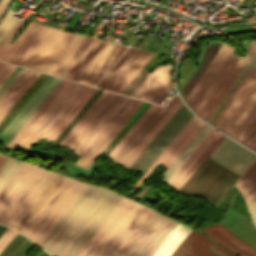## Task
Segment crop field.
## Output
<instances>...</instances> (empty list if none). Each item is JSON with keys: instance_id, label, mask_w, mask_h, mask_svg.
Returning <instances> with one entry per match:
<instances>
[{"instance_id": "obj_18", "label": "crop field", "mask_w": 256, "mask_h": 256, "mask_svg": "<svg viewBox=\"0 0 256 256\" xmlns=\"http://www.w3.org/2000/svg\"><path fill=\"white\" fill-rule=\"evenodd\" d=\"M171 256H236V255L230 252L229 250H227L226 248H224L223 246L208 239L202 233H196L191 230L190 233L181 242V244L177 247V249L173 252Z\"/></svg>"}, {"instance_id": "obj_1", "label": "crop field", "mask_w": 256, "mask_h": 256, "mask_svg": "<svg viewBox=\"0 0 256 256\" xmlns=\"http://www.w3.org/2000/svg\"><path fill=\"white\" fill-rule=\"evenodd\" d=\"M120 198L88 185L40 246L53 256H75Z\"/></svg>"}, {"instance_id": "obj_15", "label": "crop field", "mask_w": 256, "mask_h": 256, "mask_svg": "<svg viewBox=\"0 0 256 256\" xmlns=\"http://www.w3.org/2000/svg\"><path fill=\"white\" fill-rule=\"evenodd\" d=\"M204 124V122L193 115L134 186L138 187L158 163L165 165L164 168L167 169Z\"/></svg>"}, {"instance_id": "obj_46", "label": "crop field", "mask_w": 256, "mask_h": 256, "mask_svg": "<svg viewBox=\"0 0 256 256\" xmlns=\"http://www.w3.org/2000/svg\"><path fill=\"white\" fill-rule=\"evenodd\" d=\"M150 105V103H148L145 108L139 113V115L136 117V119L129 125V127L124 131L125 127L122 128V130L117 134V136L112 140V142L107 146V148L104 150V152L106 153L107 150L110 148V146L113 144V142L118 138V136L120 135V137L114 142V144L111 146V148L108 150V152L106 153L107 155L109 154V152L114 148V146L120 141V139L126 134V132L131 128V126L137 121V119L143 114V112L148 108V106Z\"/></svg>"}, {"instance_id": "obj_35", "label": "crop field", "mask_w": 256, "mask_h": 256, "mask_svg": "<svg viewBox=\"0 0 256 256\" xmlns=\"http://www.w3.org/2000/svg\"><path fill=\"white\" fill-rule=\"evenodd\" d=\"M224 135L218 134L217 137L211 142V144L205 149V151L199 156V158L193 163V165L187 170V172L181 177V179L172 188L176 191L186 182V180L192 175V173L198 168V166L204 161V159L210 154L218 142Z\"/></svg>"}, {"instance_id": "obj_33", "label": "crop field", "mask_w": 256, "mask_h": 256, "mask_svg": "<svg viewBox=\"0 0 256 256\" xmlns=\"http://www.w3.org/2000/svg\"><path fill=\"white\" fill-rule=\"evenodd\" d=\"M82 86L83 84L77 83V85L71 90V92L66 96V98L60 103V105L55 109V111L50 115V117L45 121V123L40 127V129L35 133V135L30 139V141L25 145L23 150L27 151V149L44 133V131L60 114V112L65 108V106L71 101V99L76 95V93L81 89Z\"/></svg>"}, {"instance_id": "obj_47", "label": "crop field", "mask_w": 256, "mask_h": 256, "mask_svg": "<svg viewBox=\"0 0 256 256\" xmlns=\"http://www.w3.org/2000/svg\"><path fill=\"white\" fill-rule=\"evenodd\" d=\"M98 90H99V89H98ZM98 90H97V91H98ZM97 91H96V92H97ZM100 91H101V90H100ZM100 91H98V93H99ZM101 92H102V91H101ZM101 92H100V93H101ZM98 93H97V94H98ZM100 93L98 94V96L100 95ZM95 94H96V93H95ZM95 94H94V95H95ZM97 94L95 95V97L97 96ZM94 95H93V96H94ZM93 96L90 98V100L93 98ZM98 96H97V97H98ZM95 97H94V98H95ZM97 97H96V98H97ZM94 98H93V99H94ZM96 98H95V99H96ZM93 99H92V100H93ZM95 99L92 101V103L95 101ZM90 100L85 104V106L90 102ZM90 103H91V102H90ZM90 103H89V104H90ZM92 103H91V104H92ZM89 104H88V105H89ZM91 104H90V105H91ZM88 105H87V106H88ZM90 105L86 108V110L90 107ZM85 106L79 111V113L85 108ZM84 110H85V109H84ZM84 110H83V111H84ZM86 110H85V111H86ZM83 111H82V112H83ZM85 111H84L83 113L81 112L82 114L80 113V114H81L80 117L85 113ZM79 113H78V114H79ZM78 114L73 118V120L78 116ZM78 117H79V116H78ZM78 117H77V118H78ZM80 117H79L78 119L76 118V119H77V120L75 119L76 121L74 120L75 123L80 119ZM73 120H72V121H73ZM72 121H71V122H72ZM74 121H73V122H74ZM71 122L67 125V127L71 124ZM75 123H74V124L72 123L73 125L71 124V125H72V126L70 125L71 127L69 126L70 129L75 125ZM67 127H66V128H67ZM69 127H68V128H69ZM66 128H65V129H66ZM68 128L66 129V131L68 130ZM65 129H64V130H65ZM70 129H69L67 132L65 131L66 133H65L64 130H63L62 133L64 132L65 135H66V134L70 131ZM62 133H61V134H62ZM64 133H63V134H64ZM61 134H60V135H61ZM63 134H62L61 136L59 135L60 137L58 136L59 139L63 136ZM65 135L60 139V141L65 137ZM58 137H57V138H58ZM57 138H56V140H57ZM59 139H58V140H59ZM56 140H55V141H56ZM58 140L56 141V143L58 142ZM55 141H54V142H55ZM60 141L58 142V144L60 143Z\"/></svg>"}, {"instance_id": "obj_6", "label": "crop field", "mask_w": 256, "mask_h": 256, "mask_svg": "<svg viewBox=\"0 0 256 256\" xmlns=\"http://www.w3.org/2000/svg\"><path fill=\"white\" fill-rule=\"evenodd\" d=\"M50 171L22 163L0 191V223L9 225Z\"/></svg>"}, {"instance_id": "obj_25", "label": "crop field", "mask_w": 256, "mask_h": 256, "mask_svg": "<svg viewBox=\"0 0 256 256\" xmlns=\"http://www.w3.org/2000/svg\"><path fill=\"white\" fill-rule=\"evenodd\" d=\"M25 18L19 21V23L14 27V29L9 33V35L0 44V60L7 61L9 57L16 51V49L22 44V42L29 36V34L35 29L38 23L33 21L26 27V29L18 36V38L12 43H8L11 38L15 35L18 29L21 27Z\"/></svg>"}, {"instance_id": "obj_22", "label": "crop field", "mask_w": 256, "mask_h": 256, "mask_svg": "<svg viewBox=\"0 0 256 256\" xmlns=\"http://www.w3.org/2000/svg\"><path fill=\"white\" fill-rule=\"evenodd\" d=\"M22 73V72H21ZM40 73L25 69L11 87L0 98V120L17 102Z\"/></svg>"}, {"instance_id": "obj_7", "label": "crop field", "mask_w": 256, "mask_h": 256, "mask_svg": "<svg viewBox=\"0 0 256 256\" xmlns=\"http://www.w3.org/2000/svg\"><path fill=\"white\" fill-rule=\"evenodd\" d=\"M84 36L54 29L24 67L54 74Z\"/></svg>"}, {"instance_id": "obj_56", "label": "crop field", "mask_w": 256, "mask_h": 256, "mask_svg": "<svg viewBox=\"0 0 256 256\" xmlns=\"http://www.w3.org/2000/svg\"><path fill=\"white\" fill-rule=\"evenodd\" d=\"M144 192L142 191L140 194H138L136 197L138 198L141 194H143Z\"/></svg>"}, {"instance_id": "obj_31", "label": "crop field", "mask_w": 256, "mask_h": 256, "mask_svg": "<svg viewBox=\"0 0 256 256\" xmlns=\"http://www.w3.org/2000/svg\"><path fill=\"white\" fill-rule=\"evenodd\" d=\"M63 178L64 176H61L59 174L56 175V177L52 180V182L48 185V187L44 190V192L40 195V197L36 200V202L32 205V207L28 210V212L24 215L20 222L16 225L15 229H17L19 232L21 231V229L26 225V223L40 208V206L49 197V195L58 186V184L63 180Z\"/></svg>"}, {"instance_id": "obj_29", "label": "crop field", "mask_w": 256, "mask_h": 256, "mask_svg": "<svg viewBox=\"0 0 256 256\" xmlns=\"http://www.w3.org/2000/svg\"><path fill=\"white\" fill-rule=\"evenodd\" d=\"M235 186L242 194L246 204H248L256 194V160L237 181Z\"/></svg>"}, {"instance_id": "obj_41", "label": "crop field", "mask_w": 256, "mask_h": 256, "mask_svg": "<svg viewBox=\"0 0 256 256\" xmlns=\"http://www.w3.org/2000/svg\"><path fill=\"white\" fill-rule=\"evenodd\" d=\"M239 142L256 151V116Z\"/></svg>"}, {"instance_id": "obj_3", "label": "crop field", "mask_w": 256, "mask_h": 256, "mask_svg": "<svg viewBox=\"0 0 256 256\" xmlns=\"http://www.w3.org/2000/svg\"><path fill=\"white\" fill-rule=\"evenodd\" d=\"M154 214L122 197L76 256H121Z\"/></svg>"}, {"instance_id": "obj_5", "label": "crop field", "mask_w": 256, "mask_h": 256, "mask_svg": "<svg viewBox=\"0 0 256 256\" xmlns=\"http://www.w3.org/2000/svg\"><path fill=\"white\" fill-rule=\"evenodd\" d=\"M86 186L65 177L20 233L39 245Z\"/></svg>"}, {"instance_id": "obj_12", "label": "crop field", "mask_w": 256, "mask_h": 256, "mask_svg": "<svg viewBox=\"0 0 256 256\" xmlns=\"http://www.w3.org/2000/svg\"><path fill=\"white\" fill-rule=\"evenodd\" d=\"M107 44L108 42L85 37L55 75L77 81Z\"/></svg>"}, {"instance_id": "obj_43", "label": "crop field", "mask_w": 256, "mask_h": 256, "mask_svg": "<svg viewBox=\"0 0 256 256\" xmlns=\"http://www.w3.org/2000/svg\"><path fill=\"white\" fill-rule=\"evenodd\" d=\"M13 15L14 13L9 11L0 24V42L19 21V19L12 17Z\"/></svg>"}, {"instance_id": "obj_16", "label": "crop field", "mask_w": 256, "mask_h": 256, "mask_svg": "<svg viewBox=\"0 0 256 256\" xmlns=\"http://www.w3.org/2000/svg\"><path fill=\"white\" fill-rule=\"evenodd\" d=\"M61 78L49 75L37 91L31 96L21 110L15 115L5 129L0 133V144L6 145L19 128L31 116L36 108L48 96Z\"/></svg>"}, {"instance_id": "obj_2", "label": "crop field", "mask_w": 256, "mask_h": 256, "mask_svg": "<svg viewBox=\"0 0 256 256\" xmlns=\"http://www.w3.org/2000/svg\"><path fill=\"white\" fill-rule=\"evenodd\" d=\"M142 103L112 93L68 146L81 156L76 165L88 169Z\"/></svg>"}, {"instance_id": "obj_51", "label": "crop field", "mask_w": 256, "mask_h": 256, "mask_svg": "<svg viewBox=\"0 0 256 256\" xmlns=\"http://www.w3.org/2000/svg\"><path fill=\"white\" fill-rule=\"evenodd\" d=\"M249 212L251 214V217L253 219V222L256 226V195L254 196V198L249 202V204L247 205Z\"/></svg>"}, {"instance_id": "obj_40", "label": "crop field", "mask_w": 256, "mask_h": 256, "mask_svg": "<svg viewBox=\"0 0 256 256\" xmlns=\"http://www.w3.org/2000/svg\"><path fill=\"white\" fill-rule=\"evenodd\" d=\"M20 164L21 162L9 158L8 161L3 165V167L0 169V189L16 171Z\"/></svg>"}, {"instance_id": "obj_42", "label": "crop field", "mask_w": 256, "mask_h": 256, "mask_svg": "<svg viewBox=\"0 0 256 256\" xmlns=\"http://www.w3.org/2000/svg\"><path fill=\"white\" fill-rule=\"evenodd\" d=\"M177 95L168 103V105L163 109V111L157 116V118L152 122V124L147 128V130L141 135V137L136 141V143L130 148V150L125 154V156L120 160L118 164H122L123 161L129 156V154L134 150V148L140 143V141L146 136V134L152 129V127L158 122V120L163 116V114L169 109V107L177 99ZM142 142V141H141ZM131 155V154H130ZM125 162V161H124Z\"/></svg>"}, {"instance_id": "obj_14", "label": "crop field", "mask_w": 256, "mask_h": 256, "mask_svg": "<svg viewBox=\"0 0 256 256\" xmlns=\"http://www.w3.org/2000/svg\"><path fill=\"white\" fill-rule=\"evenodd\" d=\"M235 49L224 44L221 46L205 72L202 74L188 97L186 98L187 104L195 112L204 96L222 71L223 67L233 54Z\"/></svg>"}, {"instance_id": "obj_53", "label": "crop field", "mask_w": 256, "mask_h": 256, "mask_svg": "<svg viewBox=\"0 0 256 256\" xmlns=\"http://www.w3.org/2000/svg\"><path fill=\"white\" fill-rule=\"evenodd\" d=\"M10 0H1L0 2V17L2 16V14L4 13L7 5L9 4Z\"/></svg>"}, {"instance_id": "obj_32", "label": "crop field", "mask_w": 256, "mask_h": 256, "mask_svg": "<svg viewBox=\"0 0 256 256\" xmlns=\"http://www.w3.org/2000/svg\"><path fill=\"white\" fill-rule=\"evenodd\" d=\"M219 132L212 130L210 134L203 140V142L196 148V150L189 156L174 176L169 180L167 185L171 188L180 179V177L186 172V170L192 165V163L198 158V156L204 151V149L210 144V142L216 137Z\"/></svg>"}, {"instance_id": "obj_52", "label": "crop field", "mask_w": 256, "mask_h": 256, "mask_svg": "<svg viewBox=\"0 0 256 256\" xmlns=\"http://www.w3.org/2000/svg\"><path fill=\"white\" fill-rule=\"evenodd\" d=\"M170 90L171 88L169 86V81H168V83L163 87V89L159 92V94L154 98L153 101L160 103Z\"/></svg>"}, {"instance_id": "obj_19", "label": "crop field", "mask_w": 256, "mask_h": 256, "mask_svg": "<svg viewBox=\"0 0 256 256\" xmlns=\"http://www.w3.org/2000/svg\"><path fill=\"white\" fill-rule=\"evenodd\" d=\"M96 90L97 88H93L85 85L82 88V90L76 95V97L70 102V104L64 109V111L51 124V126L45 131V133L41 136V138L47 139L53 142L55 138L60 134V132L77 114V112L94 94Z\"/></svg>"}, {"instance_id": "obj_23", "label": "crop field", "mask_w": 256, "mask_h": 256, "mask_svg": "<svg viewBox=\"0 0 256 256\" xmlns=\"http://www.w3.org/2000/svg\"><path fill=\"white\" fill-rule=\"evenodd\" d=\"M52 30L51 27L39 24L8 62L23 66Z\"/></svg>"}, {"instance_id": "obj_26", "label": "crop field", "mask_w": 256, "mask_h": 256, "mask_svg": "<svg viewBox=\"0 0 256 256\" xmlns=\"http://www.w3.org/2000/svg\"><path fill=\"white\" fill-rule=\"evenodd\" d=\"M181 104L182 103L178 98L176 102L170 107V109L165 113V115L142 140V142L131 153V155L125 160L122 166L127 168L130 167V165L135 161V159L140 155V153L145 149V147L150 143V141L155 137V135L160 131V129L165 125V123L170 119V117L175 113Z\"/></svg>"}, {"instance_id": "obj_37", "label": "crop field", "mask_w": 256, "mask_h": 256, "mask_svg": "<svg viewBox=\"0 0 256 256\" xmlns=\"http://www.w3.org/2000/svg\"><path fill=\"white\" fill-rule=\"evenodd\" d=\"M156 105L151 104L149 108L144 112V114L138 119V121L133 125V127L127 132V134L122 138V140L116 145V147L107 156L110 160L119 151V149L125 144V142L131 137V135L136 131V129L142 124V122L148 117V115L153 111Z\"/></svg>"}, {"instance_id": "obj_49", "label": "crop field", "mask_w": 256, "mask_h": 256, "mask_svg": "<svg viewBox=\"0 0 256 256\" xmlns=\"http://www.w3.org/2000/svg\"><path fill=\"white\" fill-rule=\"evenodd\" d=\"M15 65L0 62V84L8 76V74L13 70Z\"/></svg>"}, {"instance_id": "obj_39", "label": "crop field", "mask_w": 256, "mask_h": 256, "mask_svg": "<svg viewBox=\"0 0 256 256\" xmlns=\"http://www.w3.org/2000/svg\"><path fill=\"white\" fill-rule=\"evenodd\" d=\"M163 66L155 67L152 73H148L146 77L139 83V85L132 91L130 96L139 98L140 95L145 91V89L150 85L154 78L159 74V72L164 68Z\"/></svg>"}, {"instance_id": "obj_54", "label": "crop field", "mask_w": 256, "mask_h": 256, "mask_svg": "<svg viewBox=\"0 0 256 256\" xmlns=\"http://www.w3.org/2000/svg\"><path fill=\"white\" fill-rule=\"evenodd\" d=\"M247 65L256 69V50L253 53V55L251 56V58L249 59V61L247 62Z\"/></svg>"}, {"instance_id": "obj_48", "label": "crop field", "mask_w": 256, "mask_h": 256, "mask_svg": "<svg viewBox=\"0 0 256 256\" xmlns=\"http://www.w3.org/2000/svg\"><path fill=\"white\" fill-rule=\"evenodd\" d=\"M17 233L18 232L8 228L2 237L0 236V252L6 247V245L14 238Z\"/></svg>"}, {"instance_id": "obj_34", "label": "crop field", "mask_w": 256, "mask_h": 256, "mask_svg": "<svg viewBox=\"0 0 256 256\" xmlns=\"http://www.w3.org/2000/svg\"><path fill=\"white\" fill-rule=\"evenodd\" d=\"M163 107L157 106L155 110L149 115V117L143 122V124L137 129V131L132 135V137L126 142V144L120 149V151L111 160L113 163L117 164L119 160L124 156V154L129 150V148L135 143V141L140 137V135L145 131V129L151 124V122L156 118V116L161 112Z\"/></svg>"}, {"instance_id": "obj_55", "label": "crop field", "mask_w": 256, "mask_h": 256, "mask_svg": "<svg viewBox=\"0 0 256 256\" xmlns=\"http://www.w3.org/2000/svg\"><path fill=\"white\" fill-rule=\"evenodd\" d=\"M8 157H4L0 155V168L2 167V165L7 161Z\"/></svg>"}, {"instance_id": "obj_36", "label": "crop field", "mask_w": 256, "mask_h": 256, "mask_svg": "<svg viewBox=\"0 0 256 256\" xmlns=\"http://www.w3.org/2000/svg\"><path fill=\"white\" fill-rule=\"evenodd\" d=\"M171 66L167 65L165 69L159 74V76L154 80V82L148 87V89L142 94L140 99L151 102L152 99L157 95V93L162 89V87L169 80V71Z\"/></svg>"}, {"instance_id": "obj_57", "label": "crop field", "mask_w": 256, "mask_h": 256, "mask_svg": "<svg viewBox=\"0 0 256 256\" xmlns=\"http://www.w3.org/2000/svg\"><path fill=\"white\" fill-rule=\"evenodd\" d=\"M148 188H149V187H148V186H146V188H145L143 191H145V192H146Z\"/></svg>"}, {"instance_id": "obj_21", "label": "crop field", "mask_w": 256, "mask_h": 256, "mask_svg": "<svg viewBox=\"0 0 256 256\" xmlns=\"http://www.w3.org/2000/svg\"><path fill=\"white\" fill-rule=\"evenodd\" d=\"M202 232L239 256H256L255 248L247 244L219 223L203 228Z\"/></svg>"}, {"instance_id": "obj_8", "label": "crop field", "mask_w": 256, "mask_h": 256, "mask_svg": "<svg viewBox=\"0 0 256 256\" xmlns=\"http://www.w3.org/2000/svg\"><path fill=\"white\" fill-rule=\"evenodd\" d=\"M152 55L128 48L96 86L122 94Z\"/></svg>"}, {"instance_id": "obj_38", "label": "crop field", "mask_w": 256, "mask_h": 256, "mask_svg": "<svg viewBox=\"0 0 256 256\" xmlns=\"http://www.w3.org/2000/svg\"><path fill=\"white\" fill-rule=\"evenodd\" d=\"M56 173L51 172L47 179L43 182V184L39 187L36 193L32 196L29 202L25 205L22 211L18 214V216L11 223V227H15V225L19 222V220L23 217V215L27 212V210L31 207V205L35 202V200L39 197V195L43 192V190L47 187V185L51 182V180L55 177ZM8 225V226H9Z\"/></svg>"}, {"instance_id": "obj_28", "label": "crop field", "mask_w": 256, "mask_h": 256, "mask_svg": "<svg viewBox=\"0 0 256 256\" xmlns=\"http://www.w3.org/2000/svg\"><path fill=\"white\" fill-rule=\"evenodd\" d=\"M189 231L190 229L177 223L152 256H170Z\"/></svg>"}, {"instance_id": "obj_50", "label": "crop field", "mask_w": 256, "mask_h": 256, "mask_svg": "<svg viewBox=\"0 0 256 256\" xmlns=\"http://www.w3.org/2000/svg\"><path fill=\"white\" fill-rule=\"evenodd\" d=\"M147 72L141 71L140 74L135 78V80L130 84V86L125 90L123 94L129 95L131 91L138 85V83L145 77Z\"/></svg>"}, {"instance_id": "obj_20", "label": "crop field", "mask_w": 256, "mask_h": 256, "mask_svg": "<svg viewBox=\"0 0 256 256\" xmlns=\"http://www.w3.org/2000/svg\"><path fill=\"white\" fill-rule=\"evenodd\" d=\"M126 48L109 43L78 82L94 86Z\"/></svg>"}, {"instance_id": "obj_11", "label": "crop field", "mask_w": 256, "mask_h": 256, "mask_svg": "<svg viewBox=\"0 0 256 256\" xmlns=\"http://www.w3.org/2000/svg\"><path fill=\"white\" fill-rule=\"evenodd\" d=\"M175 224L156 213L122 256H151Z\"/></svg>"}, {"instance_id": "obj_27", "label": "crop field", "mask_w": 256, "mask_h": 256, "mask_svg": "<svg viewBox=\"0 0 256 256\" xmlns=\"http://www.w3.org/2000/svg\"><path fill=\"white\" fill-rule=\"evenodd\" d=\"M211 129L212 128L206 124L203 126V128L198 132V134L192 139V141L187 145V147L181 152V154L175 159V161L165 171V173L163 174V176L165 177L163 178L162 182L166 183L168 181V179L182 165V163L194 151V149L199 145V143L204 139V137L209 133Z\"/></svg>"}, {"instance_id": "obj_4", "label": "crop field", "mask_w": 256, "mask_h": 256, "mask_svg": "<svg viewBox=\"0 0 256 256\" xmlns=\"http://www.w3.org/2000/svg\"><path fill=\"white\" fill-rule=\"evenodd\" d=\"M256 115V71L249 68L212 125L239 141Z\"/></svg>"}, {"instance_id": "obj_17", "label": "crop field", "mask_w": 256, "mask_h": 256, "mask_svg": "<svg viewBox=\"0 0 256 256\" xmlns=\"http://www.w3.org/2000/svg\"><path fill=\"white\" fill-rule=\"evenodd\" d=\"M209 156L242 174L256 154L224 137Z\"/></svg>"}, {"instance_id": "obj_30", "label": "crop field", "mask_w": 256, "mask_h": 256, "mask_svg": "<svg viewBox=\"0 0 256 256\" xmlns=\"http://www.w3.org/2000/svg\"><path fill=\"white\" fill-rule=\"evenodd\" d=\"M110 94V92H102V94L97 98V100L92 104V106L87 110V112L82 116V118L77 122V124L72 128L67 136L62 140L60 143L61 145L66 147L69 145V143L74 139V137L79 133V131L84 127V125L89 121V119L94 115V113L99 109V107L104 103Z\"/></svg>"}, {"instance_id": "obj_24", "label": "crop field", "mask_w": 256, "mask_h": 256, "mask_svg": "<svg viewBox=\"0 0 256 256\" xmlns=\"http://www.w3.org/2000/svg\"><path fill=\"white\" fill-rule=\"evenodd\" d=\"M75 84V82L71 81H68L66 83L61 91L55 96V98L49 103L44 111L38 116V118L17 141V143L14 145L15 148L22 149L24 147V145L29 141V139L34 135V133L39 129V127L44 123V121L49 117V115L54 111V109L59 105V103L64 99V97L69 93V91L74 87Z\"/></svg>"}, {"instance_id": "obj_10", "label": "crop field", "mask_w": 256, "mask_h": 256, "mask_svg": "<svg viewBox=\"0 0 256 256\" xmlns=\"http://www.w3.org/2000/svg\"><path fill=\"white\" fill-rule=\"evenodd\" d=\"M209 159H210V157L208 156V157L206 158V160L200 165V167L194 172V174L187 180V182L181 187V189H180L178 192L181 193V192L183 191V189L188 185V183L192 180V178H193V177L198 173V171L207 163V161H208ZM210 161H211V159L208 161V163H209ZM212 162H213V160H212L209 164L207 163L208 165L206 164L207 166L205 165L206 167L204 166L205 168L203 167V168H204V169L202 168L203 170L201 169L202 172H201V173L199 172L200 174L198 173V174H199V175L197 174L198 176L196 175V176H197L196 179H195L196 176L193 178V180H194V179H195V180H194V181L192 180L193 182L191 181L192 184H191V182L189 183V185H190V184H191V185H190V186L188 185V186H189V187L187 186L188 188L186 187L187 190H188V189L195 183V181L204 173V171L210 166V164H211ZM211 165H212V164H211ZM217 165H218V162L215 161V162L213 163V165L206 171V173H205V174L199 179V181L194 185V187H193V188L191 187V188H192V189L190 188L191 190L189 189L190 191H189L188 194L186 193V192H187L186 188L184 189V191L186 190L185 192L183 191L184 194L186 193L187 195H192V194L195 192V190L198 188V186L201 184V182L208 176V174H209ZM221 165H222V164H219V165L209 174V176L203 181V183L200 185V187L197 189V191L193 194V196H195V194L201 189V187L208 181V179L213 175V173H214ZM222 167H223V165L215 172V174H214V175L210 178V180L202 187V189L196 194V196H198V195L202 192V190L212 181V179L219 173V171L222 169ZM201 170H200V171H201ZM226 170H227V167L224 166L223 169L220 171V173L213 179V181L203 190V192H202L199 196H200V197H203V196L207 193V191L217 182V180L224 174V172H225ZM229 170H230V169H228V170L226 171V173H227ZM232 172H233V170L229 171L227 174L225 173L226 176H225V174H224V175L218 180V182H219L224 176H225V177H224L219 183L217 182V183H218V184L216 183L217 186L215 187V185H216V184H215V185L208 191V193H209L214 187H215V188H214L209 194L207 193L208 196H207V194H206V195L204 196V198L207 196V197L205 198V199L207 200V199L221 186V184L229 177V175H230ZM236 173H237V172L234 171V172L231 174V176L223 183V185L207 200L209 203H210V202L213 200V198H214V197H215L232 179H233V177L236 175ZM237 176H238V174L234 177V179H235ZM239 176H240V175H239ZM239 176H238L235 180L233 179L234 181L232 180L233 182L231 181L232 183L230 182L231 184L229 183L230 185L228 184L229 186H228V185H227L228 187L226 186L227 189H226V187H225V188L214 198V200H213L210 204L212 205L213 202L218 198V196L226 189V190L219 196V198L214 202V204H213V206H214V205L218 202V200L227 192V190L235 183V181L239 178ZM183 192H182V194H183ZM186 194H185V195H186Z\"/></svg>"}, {"instance_id": "obj_13", "label": "crop field", "mask_w": 256, "mask_h": 256, "mask_svg": "<svg viewBox=\"0 0 256 256\" xmlns=\"http://www.w3.org/2000/svg\"><path fill=\"white\" fill-rule=\"evenodd\" d=\"M186 107L182 104L181 107L176 111V113L171 117V119L166 123V125L161 129V131L156 135V137L151 141V143L146 147V149L141 153V155L136 159V161L131 165V169H135L136 166L141 162V160L146 156V154L152 149V147L157 143V141L162 137V135L167 131V129L173 124V122L178 118V116L183 112V110ZM187 109L184 110V112ZM184 112L179 116V118L184 114ZM193 114L190 113L188 110L185 112V114L180 118H179L174 122V124L168 129V131L163 135V137L158 141V143L164 138V136L169 132H170L165 136V138L159 143H158L153 147V149L147 154V156L142 160V162L137 166V168L135 170L138 169V167L143 163V161L148 157H149L144 161V163L139 167V169L137 170L138 172H142L144 173L146 171V169L151 165V163L157 158V156L162 152V150L168 145V143L174 138V136L179 132V130L185 125V123L190 119V117Z\"/></svg>"}, {"instance_id": "obj_45", "label": "crop field", "mask_w": 256, "mask_h": 256, "mask_svg": "<svg viewBox=\"0 0 256 256\" xmlns=\"http://www.w3.org/2000/svg\"><path fill=\"white\" fill-rule=\"evenodd\" d=\"M24 68L16 67L14 71L8 76V78L0 86V97L4 92L10 87V85L16 80V78L21 74Z\"/></svg>"}, {"instance_id": "obj_9", "label": "crop field", "mask_w": 256, "mask_h": 256, "mask_svg": "<svg viewBox=\"0 0 256 256\" xmlns=\"http://www.w3.org/2000/svg\"><path fill=\"white\" fill-rule=\"evenodd\" d=\"M256 49V41H253L244 58L233 55L214 85L196 110V114L206 121L209 119L233 81L236 79L254 50Z\"/></svg>"}, {"instance_id": "obj_44", "label": "crop field", "mask_w": 256, "mask_h": 256, "mask_svg": "<svg viewBox=\"0 0 256 256\" xmlns=\"http://www.w3.org/2000/svg\"><path fill=\"white\" fill-rule=\"evenodd\" d=\"M42 75H43V73L41 74V76H42ZM45 75H46V74H45ZM45 75H44V76H45ZM39 76H40V75H39ZM41 76H40V77H41ZM47 76H48V75H46V76L43 78V80L41 79V80H42V81L40 80L41 82L39 81L40 83L36 86V88L34 87L35 89L29 94V96L24 100V102L19 106V108L16 110V112H18V110L24 105V103H25V102L29 99V97L35 92V90L41 85V83L46 79ZM40 77L38 78V80L40 79ZM42 77H43V76H42ZM42 77H41V78H42ZM36 80H37V79H36ZM36 80H35V81H36ZM38 80H37V81H38ZM35 81H34V82H35ZM37 81H36V82H37ZM36 82H35V83H36ZM35 83H34V84H35ZM37 83H38V82H37ZM37 83H36V84H37ZM34 84H33V85H34ZM36 84H35V85H36ZM35 85H34V86H35ZM31 86H32V85H31ZM31 86H30V87H31ZM30 87H29V88H30ZM32 87H33V86H32ZM32 87H31V88H32ZM31 88H30V89H31ZM30 89H29V90H30ZM32 89H33V88H32ZM32 89H31V90H32ZM29 90H28V91H29ZM31 90H30V91H31ZM28 91H27V92H28ZM30 91H29V92H30ZM29 92H28V93H29ZM25 93H26V92H25ZM25 93H24V94H25ZM26 94H27V93H26ZM26 94H25V95H26ZM25 95H24V96H25ZM27 95H28V94H27ZM27 95H26V96H27ZM24 96H23V97H24ZM26 96H25V97H26ZM23 97H22V98H23ZM25 97H24V98H25ZM22 98H21V99H22ZM24 98H23V99H24ZM19 100H20V99H19ZM20 101H21V100H20ZM20 101H19V102H20ZM22 101H23V100H22ZM22 101H21V102H22ZM19 102H18V103H19ZM21 102H20V103H21ZM18 103H17V104H18ZM20 103H19V104H20ZM19 104H18V105H19ZM15 105H16V104H15ZM15 105H14V107H15ZM18 105H17V106H18ZM14 107H13V108H14ZM16 108H17V107H16ZM16 108H15V109H16ZM15 109H14V110H15ZM12 110H13V109H12ZM12 110H10L9 113H8V114L4 117V119L0 122V126H1L2 123L8 118V116L11 114ZM16 112H15V113H14V111L12 112V114L14 113L13 116L16 114ZM12 114L9 116V118L12 116ZM13 116H12L10 119L8 118L9 121L13 118ZM8 119L3 123V125L8 121ZM9 121H8V122H9ZM8 122H7V123H8ZM7 123L4 125V127L7 125ZM3 125L0 127V129L3 127ZM4 127H3V128H4ZM3 128H2V129H3ZM0 132H1V130H0Z\"/></svg>"}]
</instances>
